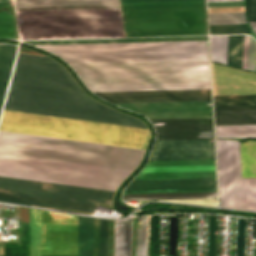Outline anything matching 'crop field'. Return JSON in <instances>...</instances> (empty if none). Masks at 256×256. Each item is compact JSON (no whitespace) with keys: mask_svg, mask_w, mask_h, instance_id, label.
Returning a JSON list of instances; mask_svg holds the SVG:
<instances>
[{"mask_svg":"<svg viewBox=\"0 0 256 256\" xmlns=\"http://www.w3.org/2000/svg\"><path fill=\"white\" fill-rule=\"evenodd\" d=\"M12 89L89 98L59 63L19 53ZM9 89L7 110L136 127L143 122L94 100ZM4 110L0 130L145 149L144 128ZM0 131V152L133 170L145 150ZM0 153V176L115 191L131 172ZM0 177V201L93 213L112 206L113 193Z\"/></svg>","mask_w":256,"mask_h":256,"instance_id":"obj_1","label":"crop field"},{"mask_svg":"<svg viewBox=\"0 0 256 256\" xmlns=\"http://www.w3.org/2000/svg\"><path fill=\"white\" fill-rule=\"evenodd\" d=\"M71 66L92 92L210 88L208 61Z\"/></svg>","mask_w":256,"mask_h":256,"instance_id":"obj_2","label":"crop field"},{"mask_svg":"<svg viewBox=\"0 0 256 256\" xmlns=\"http://www.w3.org/2000/svg\"><path fill=\"white\" fill-rule=\"evenodd\" d=\"M68 64L208 60L207 46L186 42L36 45Z\"/></svg>","mask_w":256,"mask_h":256,"instance_id":"obj_3","label":"crop field"},{"mask_svg":"<svg viewBox=\"0 0 256 256\" xmlns=\"http://www.w3.org/2000/svg\"><path fill=\"white\" fill-rule=\"evenodd\" d=\"M40 256H77V216L41 210Z\"/></svg>","mask_w":256,"mask_h":256,"instance_id":"obj_4","label":"crop field"},{"mask_svg":"<svg viewBox=\"0 0 256 256\" xmlns=\"http://www.w3.org/2000/svg\"><path fill=\"white\" fill-rule=\"evenodd\" d=\"M220 207L243 209L239 141L216 140Z\"/></svg>","mask_w":256,"mask_h":256,"instance_id":"obj_5","label":"crop field"},{"mask_svg":"<svg viewBox=\"0 0 256 256\" xmlns=\"http://www.w3.org/2000/svg\"><path fill=\"white\" fill-rule=\"evenodd\" d=\"M215 177L214 160L148 162L135 179Z\"/></svg>","mask_w":256,"mask_h":256,"instance_id":"obj_6","label":"crop field"},{"mask_svg":"<svg viewBox=\"0 0 256 256\" xmlns=\"http://www.w3.org/2000/svg\"><path fill=\"white\" fill-rule=\"evenodd\" d=\"M157 140L213 139L212 118L149 119Z\"/></svg>","mask_w":256,"mask_h":256,"instance_id":"obj_7","label":"crop field"},{"mask_svg":"<svg viewBox=\"0 0 256 256\" xmlns=\"http://www.w3.org/2000/svg\"><path fill=\"white\" fill-rule=\"evenodd\" d=\"M147 118L212 117L211 101L116 104Z\"/></svg>","mask_w":256,"mask_h":256,"instance_id":"obj_8","label":"crop field"},{"mask_svg":"<svg viewBox=\"0 0 256 256\" xmlns=\"http://www.w3.org/2000/svg\"><path fill=\"white\" fill-rule=\"evenodd\" d=\"M214 159L213 140L156 141L149 161Z\"/></svg>","mask_w":256,"mask_h":256,"instance_id":"obj_9","label":"crop field"},{"mask_svg":"<svg viewBox=\"0 0 256 256\" xmlns=\"http://www.w3.org/2000/svg\"><path fill=\"white\" fill-rule=\"evenodd\" d=\"M216 125L256 124V95L214 96Z\"/></svg>","mask_w":256,"mask_h":256,"instance_id":"obj_10","label":"crop field"},{"mask_svg":"<svg viewBox=\"0 0 256 256\" xmlns=\"http://www.w3.org/2000/svg\"><path fill=\"white\" fill-rule=\"evenodd\" d=\"M111 103L211 100L210 89L96 93Z\"/></svg>","mask_w":256,"mask_h":256,"instance_id":"obj_11","label":"crop field"},{"mask_svg":"<svg viewBox=\"0 0 256 256\" xmlns=\"http://www.w3.org/2000/svg\"><path fill=\"white\" fill-rule=\"evenodd\" d=\"M216 191L215 178L133 180L124 193Z\"/></svg>","mask_w":256,"mask_h":256,"instance_id":"obj_12","label":"crop field"},{"mask_svg":"<svg viewBox=\"0 0 256 256\" xmlns=\"http://www.w3.org/2000/svg\"><path fill=\"white\" fill-rule=\"evenodd\" d=\"M17 9L119 7L118 0H15Z\"/></svg>","mask_w":256,"mask_h":256,"instance_id":"obj_13","label":"crop field"},{"mask_svg":"<svg viewBox=\"0 0 256 256\" xmlns=\"http://www.w3.org/2000/svg\"><path fill=\"white\" fill-rule=\"evenodd\" d=\"M207 40L206 36L25 41L31 44Z\"/></svg>","mask_w":256,"mask_h":256,"instance_id":"obj_14","label":"crop field"},{"mask_svg":"<svg viewBox=\"0 0 256 256\" xmlns=\"http://www.w3.org/2000/svg\"><path fill=\"white\" fill-rule=\"evenodd\" d=\"M216 198V192L123 194V200H169Z\"/></svg>","mask_w":256,"mask_h":256,"instance_id":"obj_15","label":"crop field"},{"mask_svg":"<svg viewBox=\"0 0 256 256\" xmlns=\"http://www.w3.org/2000/svg\"><path fill=\"white\" fill-rule=\"evenodd\" d=\"M15 46L0 44V111L12 68L15 52Z\"/></svg>","mask_w":256,"mask_h":256,"instance_id":"obj_16","label":"crop field"},{"mask_svg":"<svg viewBox=\"0 0 256 256\" xmlns=\"http://www.w3.org/2000/svg\"><path fill=\"white\" fill-rule=\"evenodd\" d=\"M132 217L115 221V256H130Z\"/></svg>","mask_w":256,"mask_h":256,"instance_id":"obj_17","label":"crop field"},{"mask_svg":"<svg viewBox=\"0 0 256 256\" xmlns=\"http://www.w3.org/2000/svg\"><path fill=\"white\" fill-rule=\"evenodd\" d=\"M78 256H93V218L78 216Z\"/></svg>","mask_w":256,"mask_h":256,"instance_id":"obj_18","label":"crop field"},{"mask_svg":"<svg viewBox=\"0 0 256 256\" xmlns=\"http://www.w3.org/2000/svg\"><path fill=\"white\" fill-rule=\"evenodd\" d=\"M242 177H256V141L240 143Z\"/></svg>","mask_w":256,"mask_h":256,"instance_id":"obj_19","label":"crop field"},{"mask_svg":"<svg viewBox=\"0 0 256 256\" xmlns=\"http://www.w3.org/2000/svg\"><path fill=\"white\" fill-rule=\"evenodd\" d=\"M256 138V125L216 126V138Z\"/></svg>","mask_w":256,"mask_h":256,"instance_id":"obj_20","label":"crop field"},{"mask_svg":"<svg viewBox=\"0 0 256 256\" xmlns=\"http://www.w3.org/2000/svg\"><path fill=\"white\" fill-rule=\"evenodd\" d=\"M40 210L30 208L29 256H39Z\"/></svg>","mask_w":256,"mask_h":256,"instance_id":"obj_21","label":"crop field"},{"mask_svg":"<svg viewBox=\"0 0 256 256\" xmlns=\"http://www.w3.org/2000/svg\"><path fill=\"white\" fill-rule=\"evenodd\" d=\"M243 35L229 36L228 65L241 68Z\"/></svg>","mask_w":256,"mask_h":256,"instance_id":"obj_22","label":"crop field"},{"mask_svg":"<svg viewBox=\"0 0 256 256\" xmlns=\"http://www.w3.org/2000/svg\"><path fill=\"white\" fill-rule=\"evenodd\" d=\"M244 209L256 211V178H242Z\"/></svg>","mask_w":256,"mask_h":256,"instance_id":"obj_23","label":"crop field"},{"mask_svg":"<svg viewBox=\"0 0 256 256\" xmlns=\"http://www.w3.org/2000/svg\"><path fill=\"white\" fill-rule=\"evenodd\" d=\"M248 36H244L242 68L246 70ZM256 41L249 36L247 70L255 72Z\"/></svg>","mask_w":256,"mask_h":256,"instance_id":"obj_24","label":"crop field"},{"mask_svg":"<svg viewBox=\"0 0 256 256\" xmlns=\"http://www.w3.org/2000/svg\"><path fill=\"white\" fill-rule=\"evenodd\" d=\"M210 24L246 23L243 13L209 14Z\"/></svg>","mask_w":256,"mask_h":256,"instance_id":"obj_25","label":"crop field"},{"mask_svg":"<svg viewBox=\"0 0 256 256\" xmlns=\"http://www.w3.org/2000/svg\"><path fill=\"white\" fill-rule=\"evenodd\" d=\"M210 34L250 33L247 24L209 25Z\"/></svg>","mask_w":256,"mask_h":256,"instance_id":"obj_26","label":"crop field"},{"mask_svg":"<svg viewBox=\"0 0 256 256\" xmlns=\"http://www.w3.org/2000/svg\"><path fill=\"white\" fill-rule=\"evenodd\" d=\"M108 220L100 219L99 256H107Z\"/></svg>","mask_w":256,"mask_h":256,"instance_id":"obj_27","label":"crop field"},{"mask_svg":"<svg viewBox=\"0 0 256 256\" xmlns=\"http://www.w3.org/2000/svg\"><path fill=\"white\" fill-rule=\"evenodd\" d=\"M245 11L249 21H256V0H246Z\"/></svg>","mask_w":256,"mask_h":256,"instance_id":"obj_28","label":"crop field"},{"mask_svg":"<svg viewBox=\"0 0 256 256\" xmlns=\"http://www.w3.org/2000/svg\"><path fill=\"white\" fill-rule=\"evenodd\" d=\"M243 6V1L208 2V7Z\"/></svg>","mask_w":256,"mask_h":256,"instance_id":"obj_29","label":"crop field"},{"mask_svg":"<svg viewBox=\"0 0 256 256\" xmlns=\"http://www.w3.org/2000/svg\"><path fill=\"white\" fill-rule=\"evenodd\" d=\"M99 219L94 218V256H98Z\"/></svg>","mask_w":256,"mask_h":256,"instance_id":"obj_30","label":"crop field"},{"mask_svg":"<svg viewBox=\"0 0 256 256\" xmlns=\"http://www.w3.org/2000/svg\"><path fill=\"white\" fill-rule=\"evenodd\" d=\"M147 216L143 217L142 256H146Z\"/></svg>","mask_w":256,"mask_h":256,"instance_id":"obj_31","label":"crop field"},{"mask_svg":"<svg viewBox=\"0 0 256 256\" xmlns=\"http://www.w3.org/2000/svg\"><path fill=\"white\" fill-rule=\"evenodd\" d=\"M136 256H141V228H137Z\"/></svg>","mask_w":256,"mask_h":256,"instance_id":"obj_32","label":"crop field"},{"mask_svg":"<svg viewBox=\"0 0 256 256\" xmlns=\"http://www.w3.org/2000/svg\"><path fill=\"white\" fill-rule=\"evenodd\" d=\"M251 28H256V23L255 22H249Z\"/></svg>","mask_w":256,"mask_h":256,"instance_id":"obj_33","label":"crop field"},{"mask_svg":"<svg viewBox=\"0 0 256 256\" xmlns=\"http://www.w3.org/2000/svg\"><path fill=\"white\" fill-rule=\"evenodd\" d=\"M208 1H222V0H208Z\"/></svg>","mask_w":256,"mask_h":256,"instance_id":"obj_34","label":"crop field"},{"mask_svg":"<svg viewBox=\"0 0 256 256\" xmlns=\"http://www.w3.org/2000/svg\"><path fill=\"white\" fill-rule=\"evenodd\" d=\"M253 30V32L256 34V29H252Z\"/></svg>","mask_w":256,"mask_h":256,"instance_id":"obj_35","label":"crop field"}]
</instances>
